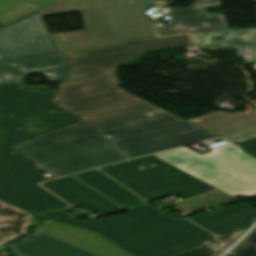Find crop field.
Listing matches in <instances>:
<instances>
[{"label":"crop field","instance_id":"crop-field-21","mask_svg":"<svg viewBox=\"0 0 256 256\" xmlns=\"http://www.w3.org/2000/svg\"><path fill=\"white\" fill-rule=\"evenodd\" d=\"M194 35H195L198 46L201 48H205L209 50L234 48L229 30L197 32V33H194ZM219 35H223L225 40L217 41V42H212L209 40L210 36H219Z\"/></svg>","mask_w":256,"mask_h":256},{"label":"crop field","instance_id":"crop-field-8","mask_svg":"<svg viewBox=\"0 0 256 256\" xmlns=\"http://www.w3.org/2000/svg\"><path fill=\"white\" fill-rule=\"evenodd\" d=\"M100 170L148 201L176 193L188 199L215 189L154 156Z\"/></svg>","mask_w":256,"mask_h":256},{"label":"crop field","instance_id":"crop-field-27","mask_svg":"<svg viewBox=\"0 0 256 256\" xmlns=\"http://www.w3.org/2000/svg\"><path fill=\"white\" fill-rule=\"evenodd\" d=\"M33 73H42L48 77L49 81L61 80L59 67ZM28 74L32 73L23 74V77L20 79V82H23Z\"/></svg>","mask_w":256,"mask_h":256},{"label":"crop field","instance_id":"crop-field-12","mask_svg":"<svg viewBox=\"0 0 256 256\" xmlns=\"http://www.w3.org/2000/svg\"><path fill=\"white\" fill-rule=\"evenodd\" d=\"M189 121L231 142L256 135V111L215 112Z\"/></svg>","mask_w":256,"mask_h":256},{"label":"crop field","instance_id":"crop-field-20","mask_svg":"<svg viewBox=\"0 0 256 256\" xmlns=\"http://www.w3.org/2000/svg\"><path fill=\"white\" fill-rule=\"evenodd\" d=\"M238 57L245 63L256 61V29L230 30Z\"/></svg>","mask_w":256,"mask_h":256},{"label":"crop field","instance_id":"crop-field-14","mask_svg":"<svg viewBox=\"0 0 256 256\" xmlns=\"http://www.w3.org/2000/svg\"><path fill=\"white\" fill-rule=\"evenodd\" d=\"M188 219L201 225L215 235L225 236L249 227L256 219V208L244 204L225 211L210 215H197Z\"/></svg>","mask_w":256,"mask_h":256},{"label":"crop field","instance_id":"crop-field-2","mask_svg":"<svg viewBox=\"0 0 256 256\" xmlns=\"http://www.w3.org/2000/svg\"><path fill=\"white\" fill-rule=\"evenodd\" d=\"M38 217L96 232L133 256H172L215 238L185 219L168 218L149 204L130 209L127 215L95 221L75 220L64 211Z\"/></svg>","mask_w":256,"mask_h":256},{"label":"crop field","instance_id":"crop-field-6","mask_svg":"<svg viewBox=\"0 0 256 256\" xmlns=\"http://www.w3.org/2000/svg\"><path fill=\"white\" fill-rule=\"evenodd\" d=\"M85 30L52 34L61 53L152 36L143 4L82 12Z\"/></svg>","mask_w":256,"mask_h":256},{"label":"crop field","instance_id":"crop-field-17","mask_svg":"<svg viewBox=\"0 0 256 256\" xmlns=\"http://www.w3.org/2000/svg\"><path fill=\"white\" fill-rule=\"evenodd\" d=\"M60 66L62 81L67 79L66 63L62 55L16 64H0V84L18 83L23 73Z\"/></svg>","mask_w":256,"mask_h":256},{"label":"crop field","instance_id":"crop-field-5","mask_svg":"<svg viewBox=\"0 0 256 256\" xmlns=\"http://www.w3.org/2000/svg\"><path fill=\"white\" fill-rule=\"evenodd\" d=\"M201 156L182 147L155 156L234 196L256 195V159L231 144Z\"/></svg>","mask_w":256,"mask_h":256},{"label":"crop field","instance_id":"crop-field-13","mask_svg":"<svg viewBox=\"0 0 256 256\" xmlns=\"http://www.w3.org/2000/svg\"><path fill=\"white\" fill-rule=\"evenodd\" d=\"M37 229L99 256H131L96 233L50 221Z\"/></svg>","mask_w":256,"mask_h":256},{"label":"crop field","instance_id":"crop-field-15","mask_svg":"<svg viewBox=\"0 0 256 256\" xmlns=\"http://www.w3.org/2000/svg\"><path fill=\"white\" fill-rule=\"evenodd\" d=\"M11 248L20 256H97L39 230Z\"/></svg>","mask_w":256,"mask_h":256},{"label":"crop field","instance_id":"crop-field-3","mask_svg":"<svg viewBox=\"0 0 256 256\" xmlns=\"http://www.w3.org/2000/svg\"><path fill=\"white\" fill-rule=\"evenodd\" d=\"M190 44L192 35L182 34L65 54L69 80L61 82L52 102L74 112L118 95L124 91L118 87L116 67L145 50Z\"/></svg>","mask_w":256,"mask_h":256},{"label":"crop field","instance_id":"crop-field-9","mask_svg":"<svg viewBox=\"0 0 256 256\" xmlns=\"http://www.w3.org/2000/svg\"><path fill=\"white\" fill-rule=\"evenodd\" d=\"M56 53L59 51L38 10L0 26V62H13Z\"/></svg>","mask_w":256,"mask_h":256},{"label":"crop field","instance_id":"crop-field-28","mask_svg":"<svg viewBox=\"0 0 256 256\" xmlns=\"http://www.w3.org/2000/svg\"><path fill=\"white\" fill-rule=\"evenodd\" d=\"M253 67L256 69V63H255V65H253Z\"/></svg>","mask_w":256,"mask_h":256},{"label":"crop field","instance_id":"crop-field-4","mask_svg":"<svg viewBox=\"0 0 256 256\" xmlns=\"http://www.w3.org/2000/svg\"><path fill=\"white\" fill-rule=\"evenodd\" d=\"M54 92L42 86L0 85V139L16 146L82 122L50 102Z\"/></svg>","mask_w":256,"mask_h":256},{"label":"crop field","instance_id":"crop-field-18","mask_svg":"<svg viewBox=\"0 0 256 256\" xmlns=\"http://www.w3.org/2000/svg\"><path fill=\"white\" fill-rule=\"evenodd\" d=\"M57 2L50 4L40 12L43 16L78 12L99 8L148 3L151 0H56Z\"/></svg>","mask_w":256,"mask_h":256},{"label":"crop field","instance_id":"crop-field-25","mask_svg":"<svg viewBox=\"0 0 256 256\" xmlns=\"http://www.w3.org/2000/svg\"><path fill=\"white\" fill-rule=\"evenodd\" d=\"M244 230L222 237L208 244L225 249L231 242H233Z\"/></svg>","mask_w":256,"mask_h":256},{"label":"crop field","instance_id":"crop-field-19","mask_svg":"<svg viewBox=\"0 0 256 256\" xmlns=\"http://www.w3.org/2000/svg\"><path fill=\"white\" fill-rule=\"evenodd\" d=\"M31 214L0 201V244L25 233Z\"/></svg>","mask_w":256,"mask_h":256},{"label":"crop field","instance_id":"crop-field-11","mask_svg":"<svg viewBox=\"0 0 256 256\" xmlns=\"http://www.w3.org/2000/svg\"><path fill=\"white\" fill-rule=\"evenodd\" d=\"M41 185L72 206L82 204L99 216L123 210L70 176Z\"/></svg>","mask_w":256,"mask_h":256},{"label":"crop field","instance_id":"crop-field-24","mask_svg":"<svg viewBox=\"0 0 256 256\" xmlns=\"http://www.w3.org/2000/svg\"><path fill=\"white\" fill-rule=\"evenodd\" d=\"M222 251L207 244L194 247L174 256H217Z\"/></svg>","mask_w":256,"mask_h":256},{"label":"crop field","instance_id":"crop-field-29","mask_svg":"<svg viewBox=\"0 0 256 256\" xmlns=\"http://www.w3.org/2000/svg\"><path fill=\"white\" fill-rule=\"evenodd\" d=\"M252 1L256 3V0H252Z\"/></svg>","mask_w":256,"mask_h":256},{"label":"crop field","instance_id":"crop-field-7","mask_svg":"<svg viewBox=\"0 0 256 256\" xmlns=\"http://www.w3.org/2000/svg\"><path fill=\"white\" fill-rule=\"evenodd\" d=\"M56 178L50 172L0 140V200L29 213L72 208L38 185Z\"/></svg>","mask_w":256,"mask_h":256},{"label":"crop field","instance_id":"crop-field-26","mask_svg":"<svg viewBox=\"0 0 256 256\" xmlns=\"http://www.w3.org/2000/svg\"><path fill=\"white\" fill-rule=\"evenodd\" d=\"M236 145L240 146L245 153L256 157V137L236 143Z\"/></svg>","mask_w":256,"mask_h":256},{"label":"crop field","instance_id":"crop-field-16","mask_svg":"<svg viewBox=\"0 0 256 256\" xmlns=\"http://www.w3.org/2000/svg\"><path fill=\"white\" fill-rule=\"evenodd\" d=\"M75 177L124 208L145 202L140 197L97 170L75 175Z\"/></svg>","mask_w":256,"mask_h":256},{"label":"crop field","instance_id":"crop-field-1","mask_svg":"<svg viewBox=\"0 0 256 256\" xmlns=\"http://www.w3.org/2000/svg\"><path fill=\"white\" fill-rule=\"evenodd\" d=\"M85 121L18 145L57 175L99 167L218 137L127 92L74 112Z\"/></svg>","mask_w":256,"mask_h":256},{"label":"crop field","instance_id":"crop-field-23","mask_svg":"<svg viewBox=\"0 0 256 256\" xmlns=\"http://www.w3.org/2000/svg\"><path fill=\"white\" fill-rule=\"evenodd\" d=\"M228 256H256V228Z\"/></svg>","mask_w":256,"mask_h":256},{"label":"crop field","instance_id":"crop-field-22","mask_svg":"<svg viewBox=\"0 0 256 256\" xmlns=\"http://www.w3.org/2000/svg\"><path fill=\"white\" fill-rule=\"evenodd\" d=\"M233 198L217 189L207 192L205 194L199 195L197 197L188 199L192 204L196 207L200 208L203 206H207L216 202H220L226 199Z\"/></svg>","mask_w":256,"mask_h":256},{"label":"crop field","instance_id":"crop-field-10","mask_svg":"<svg viewBox=\"0 0 256 256\" xmlns=\"http://www.w3.org/2000/svg\"><path fill=\"white\" fill-rule=\"evenodd\" d=\"M189 9H169L171 20L165 27L156 28L158 35L204 29L228 28L224 14L207 13L204 7L221 5L220 0H196Z\"/></svg>","mask_w":256,"mask_h":256}]
</instances>
